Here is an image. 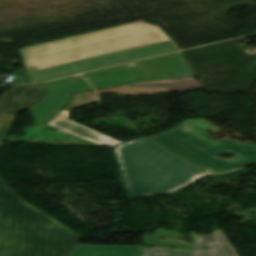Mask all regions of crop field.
<instances>
[{"instance_id":"1","label":"crop field","mask_w":256,"mask_h":256,"mask_svg":"<svg viewBox=\"0 0 256 256\" xmlns=\"http://www.w3.org/2000/svg\"><path fill=\"white\" fill-rule=\"evenodd\" d=\"M19 50L33 83L179 49L158 26L139 21Z\"/></svg>"},{"instance_id":"2","label":"crop field","mask_w":256,"mask_h":256,"mask_svg":"<svg viewBox=\"0 0 256 256\" xmlns=\"http://www.w3.org/2000/svg\"><path fill=\"white\" fill-rule=\"evenodd\" d=\"M115 149L131 197L172 192L205 175L145 138Z\"/></svg>"},{"instance_id":"3","label":"crop field","mask_w":256,"mask_h":256,"mask_svg":"<svg viewBox=\"0 0 256 256\" xmlns=\"http://www.w3.org/2000/svg\"><path fill=\"white\" fill-rule=\"evenodd\" d=\"M207 129L221 131L205 120L192 119L150 139L207 172H223L256 162L255 144L216 140L203 132ZM221 153H233L235 157L223 160L218 157Z\"/></svg>"},{"instance_id":"4","label":"crop field","mask_w":256,"mask_h":256,"mask_svg":"<svg viewBox=\"0 0 256 256\" xmlns=\"http://www.w3.org/2000/svg\"><path fill=\"white\" fill-rule=\"evenodd\" d=\"M202 89L234 92L256 81V53L248 56L237 39L182 52Z\"/></svg>"},{"instance_id":"5","label":"crop field","mask_w":256,"mask_h":256,"mask_svg":"<svg viewBox=\"0 0 256 256\" xmlns=\"http://www.w3.org/2000/svg\"><path fill=\"white\" fill-rule=\"evenodd\" d=\"M82 239L45 215L0 231V256H68Z\"/></svg>"},{"instance_id":"6","label":"crop field","mask_w":256,"mask_h":256,"mask_svg":"<svg viewBox=\"0 0 256 256\" xmlns=\"http://www.w3.org/2000/svg\"><path fill=\"white\" fill-rule=\"evenodd\" d=\"M47 94L39 84H35L15 85L0 96V148L16 115L44 99Z\"/></svg>"},{"instance_id":"7","label":"crop field","mask_w":256,"mask_h":256,"mask_svg":"<svg viewBox=\"0 0 256 256\" xmlns=\"http://www.w3.org/2000/svg\"><path fill=\"white\" fill-rule=\"evenodd\" d=\"M40 85L49 94L44 100L28 108L38 123L50 120L67 101L71 90L92 89L79 75Z\"/></svg>"},{"instance_id":"8","label":"crop field","mask_w":256,"mask_h":256,"mask_svg":"<svg viewBox=\"0 0 256 256\" xmlns=\"http://www.w3.org/2000/svg\"><path fill=\"white\" fill-rule=\"evenodd\" d=\"M45 215L26 203L0 178V230Z\"/></svg>"},{"instance_id":"9","label":"crop field","mask_w":256,"mask_h":256,"mask_svg":"<svg viewBox=\"0 0 256 256\" xmlns=\"http://www.w3.org/2000/svg\"><path fill=\"white\" fill-rule=\"evenodd\" d=\"M68 113V110L62 109L59 115L57 114L58 116L47 124L62 131H65L67 133L73 134L90 142H93L95 144L111 146L117 143H121L115 139H112L108 136H105L101 133H98L94 130H91L85 126H82L78 123H75L67 119Z\"/></svg>"},{"instance_id":"10","label":"crop field","mask_w":256,"mask_h":256,"mask_svg":"<svg viewBox=\"0 0 256 256\" xmlns=\"http://www.w3.org/2000/svg\"><path fill=\"white\" fill-rule=\"evenodd\" d=\"M201 244L196 246L199 256H236L220 231L210 236H198Z\"/></svg>"},{"instance_id":"11","label":"crop field","mask_w":256,"mask_h":256,"mask_svg":"<svg viewBox=\"0 0 256 256\" xmlns=\"http://www.w3.org/2000/svg\"><path fill=\"white\" fill-rule=\"evenodd\" d=\"M69 256H139V247L77 245Z\"/></svg>"},{"instance_id":"12","label":"crop field","mask_w":256,"mask_h":256,"mask_svg":"<svg viewBox=\"0 0 256 256\" xmlns=\"http://www.w3.org/2000/svg\"><path fill=\"white\" fill-rule=\"evenodd\" d=\"M162 83H173L181 91H194V90L201 89L196 79L193 77L150 80V81H144V82H138V83H132V84L148 85V84H162Z\"/></svg>"},{"instance_id":"13","label":"crop field","mask_w":256,"mask_h":256,"mask_svg":"<svg viewBox=\"0 0 256 256\" xmlns=\"http://www.w3.org/2000/svg\"><path fill=\"white\" fill-rule=\"evenodd\" d=\"M143 256H198L196 250L143 248Z\"/></svg>"}]
</instances>
